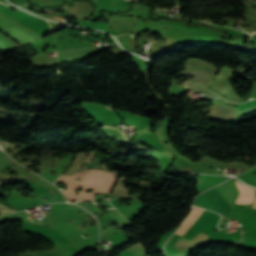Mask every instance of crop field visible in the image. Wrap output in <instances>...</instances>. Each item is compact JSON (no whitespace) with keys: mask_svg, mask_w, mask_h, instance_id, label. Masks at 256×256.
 Here are the masks:
<instances>
[{"mask_svg":"<svg viewBox=\"0 0 256 256\" xmlns=\"http://www.w3.org/2000/svg\"><path fill=\"white\" fill-rule=\"evenodd\" d=\"M235 182H236L238 190L240 192V196L236 203H239V204L252 203L253 197H254V189H252L249 186L244 185L236 180H235Z\"/></svg>","mask_w":256,"mask_h":256,"instance_id":"obj_1","label":"crop field"},{"mask_svg":"<svg viewBox=\"0 0 256 256\" xmlns=\"http://www.w3.org/2000/svg\"><path fill=\"white\" fill-rule=\"evenodd\" d=\"M115 179H116V177L107 175L103 179H101L99 182H97L95 185H93L91 188L93 189V192H95V193L104 192V191L109 192V189L114 184Z\"/></svg>","mask_w":256,"mask_h":256,"instance_id":"obj_2","label":"crop field"},{"mask_svg":"<svg viewBox=\"0 0 256 256\" xmlns=\"http://www.w3.org/2000/svg\"><path fill=\"white\" fill-rule=\"evenodd\" d=\"M203 210L197 207H193L192 213L189 218L184 222V224L177 230V234L183 235L185 231L191 226V224L196 220V218L201 214Z\"/></svg>","mask_w":256,"mask_h":256,"instance_id":"obj_3","label":"crop field"},{"mask_svg":"<svg viewBox=\"0 0 256 256\" xmlns=\"http://www.w3.org/2000/svg\"><path fill=\"white\" fill-rule=\"evenodd\" d=\"M38 205L52 203L56 201H64L63 198L56 199L55 193H34ZM47 198L48 200L43 201L42 199Z\"/></svg>","mask_w":256,"mask_h":256,"instance_id":"obj_4","label":"crop field"},{"mask_svg":"<svg viewBox=\"0 0 256 256\" xmlns=\"http://www.w3.org/2000/svg\"><path fill=\"white\" fill-rule=\"evenodd\" d=\"M108 211L118 220L120 221L125 227L132 224L131 221L124 219L122 215L118 213L116 209H108Z\"/></svg>","mask_w":256,"mask_h":256,"instance_id":"obj_5","label":"crop field"},{"mask_svg":"<svg viewBox=\"0 0 256 256\" xmlns=\"http://www.w3.org/2000/svg\"><path fill=\"white\" fill-rule=\"evenodd\" d=\"M76 204H79V205L83 206L84 208H86L87 210L93 212L94 214L97 213L99 215L101 213V211L98 210V208L95 206L94 203H83V202H80V203H76ZM88 204H91L93 207H88L87 206Z\"/></svg>","mask_w":256,"mask_h":256,"instance_id":"obj_6","label":"crop field"},{"mask_svg":"<svg viewBox=\"0 0 256 256\" xmlns=\"http://www.w3.org/2000/svg\"><path fill=\"white\" fill-rule=\"evenodd\" d=\"M0 208H1L2 210L14 211V210H10V208H8V207L2 205L1 203H0Z\"/></svg>","mask_w":256,"mask_h":256,"instance_id":"obj_7","label":"crop field"},{"mask_svg":"<svg viewBox=\"0 0 256 256\" xmlns=\"http://www.w3.org/2000/svg\"><path fill=\"white\" fill-rule=\"evenodd\" d=\"M253 207H256V198H255V201H254Z\"/></svg>","mask_w":256,"mask_h":256,"instance_id":"obj_8","label":"crop field"},{"mask_svg":"<svg viewBox=\"0 0 256 256\" xmlns=\"http://www.w3.org/2000/svg\"><path fill=\"white\" fill-rule=\"evenodd\" d=\"M47 223H49L51 226L55 227L54 225H52L49 221H47ZM56 228V227H55Z\"/></svg>","mask_w":256,"mask_h":256,"instance_id":"obj_9","label":"crop field"},{"mask_svg":"<svg viewBox=\"0 0 256 256\" xmlns=\"http://www.w3.org/2000/svg\"><path fill=\"white\" fill-rule=\"evenodd\" d=\"M108 108V107H107ZM110 110V109H109ZM112 111V110H111Z\"/></svg>","mask_w":256,"mask_h":256,"instance_id":"obj_10","label":"crop field"},{"mask_svg":"<svg viewBox=\"0 0 256 256\" xmlns=\"http://www.w3.org/2000/svg\"><path fill=\"white\" fill-rule=\"evenodd\" d=\"M186 88H188V87L186 86Z\"/></svg>","mask_w":256,"mask_h":256,"instance_id":"obj_11","label":"crop field"}]
</instances>
